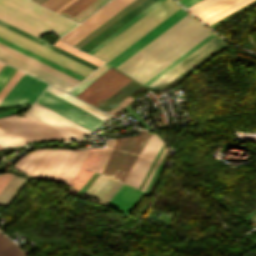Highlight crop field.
<instances>
[{
  "mask_svg": "<svg viewBox=\"0 0 256 256\" xmlns=\"http://www.w3.org/2000/svg\"><path fill=\"white\" fill-rule=\"evenodd\" d=\"M4 63L0 62V69L3 67Z\"/></svg>",
  "mask_w": 256,
  "mask_h": 256,
  "instance_id": "crop-field-43",
  "label": "crop field"
},
{
  "mask_svg": "<svg viewBox=\"0 0 256 256\" xmlns=\"http://www.w3.org/2000/svg\"><path fill=\"white\" fill-rule=\"evenodd\" d=\"M28 179L13 176L8 184L0 192V204L8 207L16 195L23 188Z\"/></svg>",
  "mask_w": 256,
  "mask_h": 256,
  "instance_id": "crop-field-21",
  "label": "crop field"
},
{
  "mask_svg": "<svg viewBox=\"0 0 256 256\" xmlns=\"http://www.w3.org/2000/svg\"><path fill=\"white\" fill-rule=\"evenodd\" d=\"M13 175L10 173L0 174V191L7 184Z\"/></svg>",
  "mask_w": 256,
  "mask_h": 256,
  "instance_id": "crop-field-39",
  "label": "crop field"
},
{
  "mask_svg": "<svg viewBox=\"0 0 256 256\" xmlns=\"http://www.w3.org/2000/svg\"><path fill=\"white\" fill-rule=\"evenodd\" d=\"M23 72L17 70L16 73L12 76L9 82L5 85V87L0 92V102L5 97V95L9 92V90L14 86V84L18 81V79L22 76Z\"/></svg>",
  "mask_w": 256,
  "mask_h": 256,
  "instance_id": "crop-field-35",
  "label": "crop field"
},
{
  "mask_svg": "<svg viewBox=\"0 0 256 256\" xmlns=\"http://www.w3.org/2000/svg\"><path fill=\"white\" fill-rule=\"evenodd\" d=\"M131 80L111 67L77 97L98 107Z\"/></svg>",
  "mask_w": 256,
  "mask_h": 256,
  "instance_id": "crop-field-7",
  "label": "crop field"
},
{
  "mask_svg": "<svg viewBox=\"0 0 256 256\" xmlns=\"http://www.w3.org/2000/svg\"><path fill=\"white\" fill-rule=\"evenodd\" d=\"M242 1L244 0H224L196 16L205 22Z\"/></svg>",
  "mask_w": 256,
  "mask_h": 256,
  "instance_id": "crop-field-25",
  "label": "crop field"
},
{
  "mask_svg": "<svg viewBox=\"0 0 256 256\" xmlns=\"http://www.w3.org/2000/svg\"><path fill=\"white\" fill-rule=\"evenodd\" d=\"M0 42L9 46V47H11V48H13V49H16V50L20 51V52H22V53H24V54H26V55L34 58V59L46 64V65H49V66L65 73V74L75 78V79H78V80L81 81L82 79L85 78V76H83V75H81V74H79V73H77V72H75L71 69H68V68H66V67H64V66H62V65H60V64H58L54 61H51V60H49V59H47V58H45V57H43V56H41L37 53H34V52H32V51H30V50H28V49H26V48H24L20 45H17L15 43L3 38V37H0Z\"/></svg>",
  "mask_w": 256,
  "mask_h": 256,
  "instance_id": "crop-field-20",
  "label": "crop field"
},
{
  "mask_svg": "<svg viewBox=\"0 0 256 256\" xmlns=\"http://www.w3.org/2000/svg\"><path fill=\"white\" fill-rule=\"evenodd\" d=\"M69 0H46L41 5L55 11Z\"/></svg>",
  "mask_w": 256,
  "mask_h": 256,
  "instance_id": "crop-field-36",
  "label": "crop field"
},
{
  "mask_svg": "<svg viewBox=\"0 0 256 256\" xmlns=\"http://www.w3.org/2000/svg\"><path fill=\"white\" fill-rule=\"evenodd\" d=\"M68 151L65 149H39L18 160L14 167L30 176L53 180L60 171Z\"/></svg>",
  "mask_w": 256,
  "mask_h": 256,
  "instance_id": "crop-field-5",
  "label": "crop field"
},
{
  "mask_svg": "<svg viewBox=\"0 0 256 256\" xmlns=\"http://www.w3.org/2000/svg\"><path fill=\"white\" fill-rule=\"evenodd\" d=\"M154 1L155 0H144L139 5L130 10L128 13H126L124 16H122L120 19H118L116 22H114L112 25H110L108 28H106L104 31H102L85 45H83L80 49L87 52Z\"/></svg>",
  "mask_w": 256,
  "mask_h": 256,
  "instance_id": "crop-field-19",
  "label": "crop field"
},
{
  "mask_svg": "<svg viewBox=\"0 0 256 256\" xmlns=\"http://www.w3.org/2000/svg\"><path fill=\"white\" fill-rule=\"evenodd\" d=\"M163 0H157L153 4H151L149 7H147L145 10H143L141 13H139L137 16H135L133 19H131L129 22H127L125 25H123L121 28H119L117 31H115L113 34H111L109 37H107L105 40H103L101 43H99L97 46H95L93 49H91L88 53H93L95 50H97L99 47H101L103 44L108 42L110 39H112L114 36H116L118 33L123 31L125 28H127L129 25H131L133 22H135L137 19L142 17L144 14H146L148 11H150L152 8L157 6L159 3H161Z\"/></svg>",
  "mask_w": 256,
  "mask_h": 256,
  "instance_id": "crop-field-28",
  "label": "crop field"
},
{
  "mask_svg": "<svg viewBox=\"0 0 256 256\" xmlns=\"http://www.w3.org/2000/svg\"><path fill=\"white\" fill-rule=\"evenodd\" d=\"M0 36H3L17 44H20L34 52H37L51 60H54L68 68H71L85 76L89 75L93 69L76 62L60 53H57L43 45H40L26 37H23L7 28L0 26Z\"/></svg>",
  "mask_w": 256,
  "mask_h": 256,
  "instance_id": "crop-field-10",
  "label": "crop field"
},
{
  "mask_svg": "<svg viewBox=\"0 0 256 256\" xmlns=\"http://www.w3.org/2000/svg\"><path fill=\"white\" fill-rule=\"evenodd\" d=\"M0 49L5 51V52H7V53H9V54H11V55H13V56H15V57H18V58H20V59H22V60H24V61H26V62L34 65V66H36V67H39V68H41V69H43V70H45V71H47V72H49V73H51V74H53L55 76H58V77L66 80V81H68V82H70V83H72L74 85H76L80 81V80L77 81L78 79L75 80V79H73V78H71V77H69V76H67V75H65V74H63V73H61V72H59V71L49 67V66H46V65H44V64H42V63H40V62H38V61H36V60L26 56V55H24V54H22V53H20V52H18L16 50H13V49H11V48H9V47L1 44V43H0Z\"/></svg>",
  "mask_w": 256,
  "mask_h": 256,
  "instance_id": "crop-field-22",
  "label": "crop field"
},
{
  "mask_svg": "<svg viewBox=\"0 0 256 256\" xmlns=\"http://www.w3.org/2000/svg\"><path fill=\"white\" fill-rule=\"evenodd\" d=\"M36 102L54 110L55 112L92 131L105 122L46 90L42 93Z\"/></svg>",
  "mask_w": 256,
  "mask_h": 256,
  "instance_id": "crop-field-8",
  "label": "crop field"
},
{
  "mask_svg": "<svg viewBox=\"0 0 256 256\" xmlns=\"http://www.w3.org/2000/svg\"><path fill=\"white\" fill-rule=\"evenodd\" d=\"M251 1H253V0H246V1L242 2V3H240L239 5H237V6L233 7V8H231V9L227 10L226 12H224V13H222V14L216 16L215 18H213V19H211V20H209V21H207V22H205V23H207V24L209 25V24H211V23L217 21L218 19H220V18H222V17L228 15L229 13H231V12L237 10L238 8H240V7H242V6L246 5V4H248V3L251 2Z\"/></svg>",
  "mask_w": 256,
  "mask_h": 256,
  "instance_id": "crop-field-37",
  "label": "crop field"
},
{
  "mask_svg": "<svg viewBox=\"0 0 256 256\" xmlns=\"http://www.w3.org/2000/svg\"><path fill=\"white\" fill-rule=\"evenodd\" d=\"M186 14H188V13L183 11L182 8L179 9L177 12H175L173 15H171L169 18H167L165 21H163L161 24H159L157 27H155L153 30H151L149 33H147L145 36L140 38L138 41H136L134 44H132L130 47H128L126 50H124L122 53H120L118 56H116L114 59H112L108 63L112 64L115 67L118 66L120 63H122L124 60H126L128 57H130L136 51L141 49L143 46H145L147 43H149L151 40H153L155 37H157L163 31L168 29L170 26H172L174 23H176L178 20H180Z\"/></svg>",
  "mask_w": 256,
  "mask_h": 256,
  "instance_id": "crop-field-15",
  "label": "crop field"
},
{
  "mask_svg": "<svg viewBox=\"0 0 256 256\" xmlns=\"http://www.w3.org/2000/svg\"><path fill=\"white\" fill-rule=\"evenodd\" d=\"M0 20L36 37L45 30L61 36L77 25L28 0H0Z\"/></svg>",
  "mask_w": 256,
  "mask_h": 256,
  "instance_id": "crop-field-3",
  "label": "crop field"
},
{
  "mask_svg": "<svg viewBox=\"0 0 256 256\" xmlns=\"http://www.w3.org/2000/svg\"><path fill=\"white\" fill-rule=\"evenodd\" d=\"M106 149L95 150L92 157L90 158L86 169L96 171Z\"/></svg>",
  "mask_w": 256,
  "mask_h": 256,
  "instance_id": "crop-field-33",
  "label": "crop field"
},
{
  "mask_svg": "<svg viewBox=\"0 0 256 256\" xmlns=\"http://www.w3.org/2000/svg\"><path fill=\"white\" fill-rule=\"evenodd\" d=\"M0 25H2L4 27H7V28H9V29H11V30H13V31L23 35V36H26V37H28V38H30V39H32V40H34V41H36V42H38L40 44H43V45H45V46H47V47H49V48H51V49H53V50H55L57 52H60V53L66 55V56H68V57H70V58H72V59H74L76 61H79V62H81V63H83V64H85V65H87V66H89V67H91L93 69L97 68V66H95V65H93V64H91L89 62H87V61H85V60H83V59H81L79 57H76V56H74V55H72V54H70V53H68V52H66V51H64V50H62L60 48H57V47H55V46H53V45H51V44H49V43L39 39V38H36V37H34V36L24 32V31H21V30L15 28L13 26L7 24V23H4V22L0 21Z\"/></svg>",
  "mask_w": 256,
  "mask_h": 256,
  "instance_id": "crop-field-24",
  "label": "crop field"
},
{
  "mask_svg": "<svg viewBox=\"0 0 256 256\" xmlns=\"http://www.w3.org/2000/svg\"><path fill=\"white\" fill-rule=\"evenodd\" d=\"M0 146H1L3 149L10 147V146L7 145L1 138H0Z\"/></svg>",
  "mask_w": 256,
  "mask_h": 256,
  "instance_id": "crop-field-42",
  "label": "crop field"
},
{
  "mask_svg": "<svg viewBox=\"0 0 256 256\" xmlns=\"http://www.w3.org/2000/svg\"><path fill=\"white\" fill-rule=\"evenodd\" d=\"M16 69L4 65V67L0 70V90L4 87V85L8 82L11 76L15 73Z\"/></svg>",
  "mask_w": 256,
  "mask_h": 256,
  "instance_id": "crop-field-34",
  "label": "crop field"
},
{
  "mask_svg": "<svg viewBox=\"0 0 256 256\" xmlns=\"http://www.w3.org/2000/svg\"><path fill=\"white\" fill-rule=\"evenodd\" d=\"M0 60L4 61L10 65H13L29 74H32L46 82H49L65 91H69L71 88L74 87V85H72L58 77H55L39 68H36L18 58H15L1 50H0Z\"/></svg>",
  "mask_w": 256,
  "mask_h": 256,
  "instance_id": "crop-field-16",
  "label": "crop field"
},
{
  "mask_svg": "<svg viewBox=\"0 0 256 256\" xmlns=\"http://www.w3.org/2000/svg\"><path fill=\"white\" fill-rule=\"evenodd\" d=\"M75 0H70L65 5H63L61 8H59L56 12H61L63 9H65L67 6H69L71 3H73Z\"/></svg>",
  "mask_w": 256,
  "mask_h": 256,
  "instance_id": "crop-field-41",
  "label": "crop field"
},
{
  "mask_svg": "<svg viewBox=\"0 0 256 256\" xmlns=\"http://www.w3.org/2000/svg\"><path fill=\"white\" fill-rule=\"evenodd\" d=\"M131 1L133 0H111L60 39L71 45L75 44Z\"/></svg>",
  "mask_w": 256,
  "mask_h": 256,
  "instance_id": "crop-field-9",
  "label": "crop field"
},
{
  "mask_svg": "<svg viewBox=\"0 0 256 256\" xmlns=\"http://www.w3.org/2000/svg\"><path fill=\"white\" fill-rule=\"evenodd\" d=\"M108 68H110V66L104 64L69 92L76 96L84 88H86L90 83H92L96 78H98L102 73H104Z\"/></svg>",
  "mask_w": 256,
  "mask_h": 256,
  "instance_id": "crop-field-29",
  "label": "crop field"
},
{
  "mask_svg": "<svg viewBox=\"0 0 256 256\" xmlns=\"http://www.w3.org/2000/svg\"><path fill=\"white\" fill-rule=\"evenodd\" d=\"M114 142H115V139L108 140L106 153H105V155H104V157H103V159H102V161H101V163H100V165H99V167H98L96 172H100L101 173V171H102V169H103V167H104V165H105V163L107 161V158H108V156H109V154H110V152H111V150H112V148L114 146Z\"/></svg>",
  "mask_w": 256,
  "mask_h": 256,
  "instance_id": "crop-field-38",
  "label": "crop field"
},
{
  "mask_svg": "<svg viewBox=\"0 0 256 256\" xmlns=\"http://www.w3.org/2000/svg\"><path fill=\"white\" fill-rule=\"evenodd\" d=\"M210 33L188 14L116 68L143 84Z\"/></svg>",
  "mask_w": 256,
  "mask_h": 256,
  "instance_id": "crop-field-1",
  "label": "crop field"
},
{
  "mask_svg": "<svg viewBox=\"0 0 256 256\" xmlns=\"http://www.w3.org/2000/svg\"><path fill=\"white\" fill-rule=\"evenodd\" d=\"M25 117L9 116L0 119V124L26 142L38 139H73V137L24 113Z\"/></svg>",
  "mask_w": 256,
  "mask_h": 256,
  "instance_id": "crop-field-6",
  "label": "crop field"
},
{
  "mask_svg": "<svg viewBox=\"0 0 256 256\" xmlns=\"http://www.w3.org/2000/svg\"><path fill=\"white\" fill-rule=\"evenodd\" d=\"M180 3H182L186 8L195 4L196 2L200 0H178Z\"/></svg>",
  "mask_w": 256,
  "mask_h": 256,
  "instance_id": "crop-field-40",
  "label": "crop field"
},
{
  "mask_svg": "<svg viewBox=\"0 0 256 256\" xmlns=\"http://www.w3.org/2000/svg\"><path fill=\"white\" fill-rule=\"evenodd\" d=\"M222 43H224V42L221 38H219L217 35L214 36L212 39H210L208 42H206L204 45H202L200 48H198L196 51H194L192 54H190L184 60L179 62L177 65H175L173 68H171L169 71H167L165 74H163L161 77H159L157 80H155L153 83H151L147 87H149L151 89L163 88L165 85H167L173 79L178 77L180 74H182L188 68L193 66L195 63H197L199 60H201L207 54H209L214 49H216L218 46H220Z\"/></svg>",
  "mask_w": 256,
  "mask_h": 256,
  "instance_id": "crop-field-11",
  "label": "crop field"
},
{
  "mask_svg": "<svg viewBox=\"0 0 256 256\" xmlns=\"http://www.w3.org/2000/svg\"><path fill=\"white\" fill-rule=\"evenodd\" d=\"M163 141L161 138L152 134L149 139L147 145L142 150L138 159L132 166L129 174L127 175L124 182L139 187L145 173L147 172L153 158L163 145Z\"/></svg>",
  "mask_w": 256,
  "mask_h": 256,
  "instance_id": "crop-field-13",
  "label": "crop field"
},
{
  "mask_svg": "<svg viewBox=\"0 0 256 256\" xmlns=\"http://www.w3.org/2000/svg\"><path fill=\"white\" fill-rule=\"evenodd\" d=\"M29 113L79 139L92 132L36 102L29 110Z\"/></svg>",
  "mask_w": 256,
  "mask_h": 256,
  "instance_id": "crop-field-14",
  "label": "crop field"
},
{
  "mask_svg": "<svg viewBox=\"0 0 256 256\" xmlns=\"http://www.w3.org/2000/svg\"><path fill=\"white\" fill-rule=\"evenodd\" d=\"M0 150H2V148L0 147Z\"/></svg>",
  "mask_w": 256,
  "mask_h": 256,
  "instance_id": "crop-field-44",
  "label": "crop field"
},
{
  "mask_svg": "<svg viewBox=\"0 0 256 256\" xmlns=\"http://www.w3.org/2000/svg\"><path fill=\"white\" fill-rule=\"evenodd\" d=\"M150 136L151 133L142 130L139 136L117 139L102 174L124 181ZM102 174L84 192L82 198L105 205L124 183Z\"/></svg>",
  "mask_w": 256,
  "mask_h": 256,
  "instance_id": "crop-field-2",
  "label": "crop field"
},
{
  "mask_svg": "<svg viewBox=\"0 0 256 256\" xmlns=\"http://www.w3.org/2000/svg\"><path fill=\"white\" fill-rule=\"evenodd\" d=\"M46 85V83L24 73L2 100L0 107L15 104H32Z\"/></svg>",
  "mask_w": 256,
  "mask_h": 256,
  "instance_id": "crop-field-12",
  "label": "crop field"
},
{
  "mask_svg": "<svg viewBox=\"0 0 256 256\" xmlns=\"http://www.w3.org/2000/svg\"><path fill=\"white\" fill-rule=\"evenodd\" d=\"M54 45H56V46H58V47H60V48H62L64 50H66V51H68V52H70V53H72L74 55H77V56H79V57H81V58H83V59H85V60H87V61H89V62H91V63H93L95 65H97V66H99L100 64L103 63L102 61H100V60H98V59H96L94 57H91V56H89V55H87V54H85L83 52H80V51H78V50H76V49H74V48H72L70 46H67V45H65V44H63V43H61L59 41L54 43Z\"/></svg>",
  "mask_w": 256,
  "mask_h": 256,
  "instance_id": "crop-field-31",
  "label": "crop field"
},
{
  "mask_svg": "<svg viewBox=\"0 0 256 256\" xmlns=\"http://www.w3.org/2000/svg\"><path fill=\"white\" fill-rule=\"evenodd\" d=\"M220 1H222V0H202L187 9H189L191 12H193L196 15V14L206 10L207 8L217 4Z\"/></svg>",
  "mask_w": 256,
  "mask_h": 256,
  "instance_id": "crop-field-32",
  "label": "crop field"
},
{
  "mask_svg": "<svg viewBox=\"0 0 256 256\" xmlns=\"http://www.w3.org/2000/svg\"><path fill=\"white\" fill-rule=\"evenodd\" d=\"M92 152L93 150L90 151L82 170L77 175V177L72 181L71 183L72 186L70 185L71 187L69 188L67 193L75 195L86 184V182L95 174L92 171L84 169Z\"/></svg>",
  "mask_w": 256,
  "mask_h": 256,
  "instance_id": "crop-field-26",
  "label": "crop field"
},
{
  "mask_svg": "<svg viewBox=\"0 0 256 256\" xmlns=\"http://www.w3.org/2000/svg\"><path fill=\"white\" fill-rule=\"evenodd\" d=\"M0 256H25V255L19 247L9 242L0 233Z\"/></svg>",
  "mask_w": 256,
  "mask_h": 256,
  "instance_id": "crop-field-27",
  "label": "crop field"
},
{
  "mask_svg": "<svg viewBox=\"0 0 256 256\" xmlns=\"http://www.w3.org/2000/svg\"><path fill=\"white\" fill-rule=\"evenodd\" d=\"M144 193L142 190L124 183L106 205L128 215Z\"/></svg>",
  "mask_w": 256,
  "mask_h": 256,
  "instance_id": "crop-field-17",
  "label": "crop field"
},
{
  "mask_svg": "<svg viewBox=\"0 0 256 256\" xmlns=\"http://www.w3.org/2000/svg\"><path fill=\"white\" fill-rule=\"evenodd\" d=\"M179 8L181 7L177 6L172 0L163 1L92 55L104 61H110Z\"/></svg>",
  "mask_w": 256,
  "mask_h": 256,
  "instance_id": "crop-field-4",
  "label": "crop field"
},
{
  "mask_svg": "<svg viewBox=\"0 0 256 256\" xmlns=\"http://www.w3.org/2000/svg\"><path fill=\"white\" fill-rule=\"evenodd\" d=\"M89 151H70L61 171L55 177L54 181L70 184L81 170Z\"/></svg>",
  "mask_w": 256,
  "mask_h": 256,
  "instance_id": "crop-field-18",
  "label": "crop field"
},
{
  "mask_svg": "<svg viewBox=\"0 0 256 256\" xmlns=\"http://www.w3.org/2000/svg\"><path fill=\"white\" fill-rule=\"evenodd\" d=\"M215 34H210L208 37H206L204 40H202L200 43H198L196 46H194L192 49H190L188 52H186L184 55H182L180 58L175 60L173 63H171L169 66H167L165 69H163L161 72H159L157 75H155L153 78H151L149 81H147L144 85H149L151 82H153L155 79H157L159 76H161L163 73H165L167 70H169L171 67H173L175 64H177L179 61L184 59L186 56H188L190 53H192L194 50H196L198 47H200L202 44H204L206 41H208L210 38H212Z\"/></svg>",
  "mask_w": 256,
  "mask_h": 256,
  "instance_id": "crop-field-30",
  "label": "crop field"
},
{
  "mask_svg": "<svg viewBox=\"0 0 256 256\" xmlns=\"http://www.w3.org/2000/svg\"><path fill=\"white\" fill-rule=\"evenodd\" d=\"M46 90L60 96L61 98L75 104L76 106L90 112L91 114H93V115H95V116H97V117H99V118H101L105 121L108 120L111 117L108 114L90 106L89 104H87V103H85V102H83V101H81V100L63 92V91H61V90H58V89H56L52 86H48V88Z\"/></svg>",
  "mask_w": 256,
  "mask_h": 256,
  "instance_id": "crop-field-23",
  "label": "crop field"
}]
</instances>
